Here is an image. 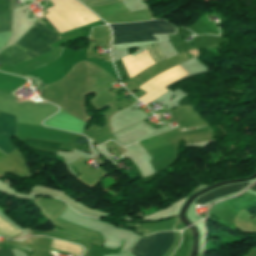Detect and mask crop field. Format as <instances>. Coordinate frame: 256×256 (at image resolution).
Listing matches in <instances>:
<instances>
[{
  "instance_id": "obj_5",
  "label": "crop field",
  "mask_w": 256,
  "mask_h": 256,
  "mask_svg": "<svg viewBox=\"0 0 256 256\" xmlns=\"http://www.w3.org/2000/svg\"><path fill=\"white\" fill-rule=\"evenodd\" d=\"M42 122V121H41ZM15 135L66 141L70 140V133L42 127L40 120L16 116Z\"/></svg>"
},
{
  "instance_id": "obj_12",
  "label": "crop field",
  "mask_w": 256,
  "mask_h": 256,
  "mask_svg": "<svg viewBox=\"0 0 256 256\" xmlns=\"http://www.w3.org/2000/svg\"><path fill=\"white\" fill-rule=\"evenodd\" d=\"M146 48H147L150 56L152 57V59L155 61V63L165 59V56L160 51L157 43L151 44V45L147 46Z\"/></svg>"
},
{
  "instance_id": "obj_14",
  "label": "crop field",
  "mask_w": 256,
  "mask_h": 256,
  "mask_svg": "<svg viewBox=\"0 0 256 256\" xmlns=\"http://www.w3.org/2000/svg\"><path fill=\"white\" fill-rule=\"evenodd\" d=\"M88 7L116 3L120 0H80Z\"/></svg>"
},
{
  "instance_id": "obj_4",
  "label": "crop field",
  "mask_w": 256,
  "mask_h": 256,
  "mask_svg": "<svg viewBox=\"0 0 256 256\" xmlns=\"http://www.w3.org/2000/svg\"><path fill=\"white\" fill-rule=\"evenodd\" d=\"M110 27L115 36L114 44L155 40L149 35L154 33H175L174 27L159 20Z\"/></svg>"
},
{
  "instance_id": "obj_11",
  "label": "crop field",
  "mask_w": 256,
  "mask_h": 256,
  "mask_svg": "<svg viewBox=\"0 0 256 256\" xmlns=\"http://www.w3.org/2000/svg\"><path fill=\"white\" fill-rule=\"evenodd\" d=\"M176 223V219L159 222L155 224H146L141 225L148 233L165 231V230H173L172 226Z\"/></svg>"
},
{
  "instance_id": "obj_6",
  "label": "crop field",
  "mask_w": 256,
  "mask_h": 256,
  "mask_svg": "<svg viewBox=\"0 0 256 256\" xmlns=\"http://www.w3.org/2000/svg\"><path fill=\"white\" fill-rule=\"evenodd\" d=\"M185 76H187V74L184 71H182L178 66H176L172 69H169V70L155 76L154 78H152L148 82L144 83L140 87H138L147 92L139 99H141L143 102H145L147 104V103L157 99L164 92H166L167 90L164 89L165 87L170 85L172 82H174L180 78H183Z\"/></svg>"
},
{
  "instance_id": "obj_7",
  "label": "crop field",
  "mask_w": 256,
  "mask_h": 256,
  "mask_svg": "<svg viewBox=\"0 0 256 256\" xmlns=\"http://www.w3.org/2000/svg\"><path fill=\"white\" fill-rule=\"evenodd\" d=\"M172 239V232L154 233L147 237H140L129 252L132 256H161Z\"/></svg>"
},
{
  "instance_id": "obj_2",
  "label": "crop field",
  "mask_w": 256,
  "mask_h": 256,
  "mask_svg": "<svg viewBox=\"0 0 256 256\" xmlns=\"http://www.w3.org/2000/svg\"><path fill=\"white\" fill-rule=\"evenodd\" d=\"M54 6L47 8L46 19L59 32L73 30L98 21L75 0H51Z\"/></svg>"
},
{
  "instance_id": "obj_16",
  "label": "crop field",
  "mask_w": 256,
  "mask_h": 256,
  "mask_svg": "<svg viewBox=\"0 0 256 256\" xmlns=\"http://www.w3.org/2000/svg\"><path fill=\"white\" fill-rule=\"evenodd\" d=\"M249 189L256 191V184L253 185V186H252L251 188H249Z\"/></svg>"
},
{
  "instance_id": "obj_8",
  "label": "crop field",
  "mask_w": 256,
  "mask_h": 256,
  "mask_svg": "<svg viewBox=\"0 0 256 256\" xmlns=\"http://www.w3.org/2000/svg\"><path fill=\"white\" fill-rule=\"evenodd\" d=\"M128 78L133 77L144 69L155 64L154 61L149 56L147 50L139 53L136 56H131L130 54L122 58Z\"/></svg>"
},
{
  "instance_id": "obj_13",
  "label": "crop field",
  "mask_w": 256,
  "mask_h": 256,
  "mask_svg": "<svg viewBox=\"0 0 256 256\" xmlns=\"http://www.w3.org/2000/svg\"><path fill=\"white\" fill-rule=\"evenodd\" d=\"M189 246V233L182 234V244L172 256H186Z\"/></svg>"
},
{
  "instance_id": "obj_15",
  "label": "crop field",
  "mask_w": 256,
  "mask_h": 256,
  "mask_svg": "<svg viewBox=\"0 0 256 256\" xmlns=\"http://www.w3.org/2000/svg\"><path fill=\"white\" fill-rule=\"evenodd\" d=\"M2 256H14L9 250H0ZM0 254V256H1Z\"/></svg>"
},
{
  "instance_id": "obj_10",
  "label": "crop field",
  "mask_w": 256,
  "mask_h": 256,
  "mask_svg": "<svg viewBox=\"0 0 256 256\" xmlns=\"http://www.w3.org/2000/svg\"><path fill=\"white\" fill-rule=\"evenodd\" d=\"M15 6V0H0V13L12 11ZM11 14H0V32L11 30Z\"/></svg>"
},
{
  "instance_id": "obj_3",
  "label": "crop field",
  "mask_w": 256,
  "mask_h": 256,
  "mask_svg": "<svg viewBox=\"0 0 256 256\" xmlns=\"http://www.w3.org/2000/svg\"><path fill=\"white\" fill-rule=\"evenodd\" d=\"M14 128L15 116L0 112V149L7 155L16 149L9 139V137L14 135ZM6 171L18 176L30 172L21 153L17 149L0 162V176Z\"/></svg>"
},
{
  "instance_id": "obj_9",
  "label": "crop field",
  "mask_w": 256,
  "mask_h": 256,
  "mask_svg": "<svg viewBox=\"0 0 256 256\" xmlns=\"http://www.w3.org/2000/svg\"><path fill=\"white\" fill-rule=\"evenodd\" d=\"M245 185H247V183H243V184H237V185H231V186H225V187H221V188H217L213 191H211L210 193L198 198L195 203L196 204H200L203 205L215 198H219L225 195H228L230 193H234L239 191L241 188H243Z\"/></svg>"
},
{
  "instance_id": "obj_1",
  "label": "crop field",
  "mask_w": 256,
  "mask_h": 256,
  "mask_svg": "<svg viewBox=\"0 0 256 256\" xmlns=\"http://www.w3.org/2000/svg\"><path fill=\"white\" fill-rule=\"evenodd\" d=\"M55 32L51 33L44 23L33 26L14 46L0 53V63L13 66L22 61L40 56L57 47L52 42L59 39Z\"/></svg>"
}]
</instances>
